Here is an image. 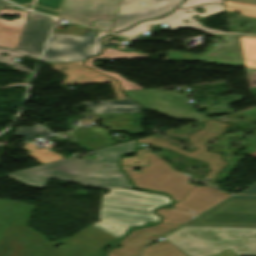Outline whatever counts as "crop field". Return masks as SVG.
Returning <instances> with one entry per match:
<instances>
[{"label": "crop field", "mask_w": 256, "mask_h": 256, "mask_svg": "<svg viewBox=\"0 0 256 256\" xmlns=\"http://www.w3.org/2000/svg\"><path fill=\"white\" fill-rule=\"evenodd\" d=\"M226 10L233 11V12H240L244 16L255 17L256 18V13L255 12H249V11H244V10H239V9H232V8H226Z\"/></svg>", "instance_id": "eef30255"}, {"label": "crop field", "mask_w": 256, "mask_h": 256, "mask_svg": "<svg viewBox=\"0 0 256 256\" xmlns=\"http://www.w3.org/2000/svg\"><path fill=\"white\" fill-rule=\"evenodd\" d=\"M125 94L148 110L158 111L175 119L191 118L197 122L210 119L207 117L208 114L233 113L234 110H229V104L239 101L243 97L238 95L220 97L216 106H207V113L200 114L186 103V94L156 89L133 90L127 91Z\"/></svg>", "instance_id": "412701ff"}, {"label": "crop field", "mask_w": 256, "mask_h": 256, "mask_svg": "<svg viewBox=\"0 0 256 256\" xmlns=\"http://www.w3.org/2000/svg\"><path fill=\"white\" fill-rule=\"evenodd\" d=\"M10 7H14V5H12L4 0H0V8H10Z\"/></svg>", "instance_id": "d3111659"}, {"label": "crop field", "mask_w": 256, "mask_h": 256, "mask_svg": "<svg viewBox=\"0 0 256 256\" xmlns=\"http://www.w3.org/2000/svg\"><path fill=\"white\" fill-rule=\"evenodd\" d=\"M61 18H65V19H69V20H73V21H77V22H80V23H83V24H86V25H89L91 26L93 23L84 19V18H81V17H77L75 15H70V14H64L62 13Z\"/></svg>", "instance_id": "4177f3b9"}, {"label": "crop field", "mask_w": 256, "mask_h": 256, "mask_svg": "<svg viewBox=\"0 0 256 256\" xmlns=\"http://www.w3.org/2000/svg\"><path fill=\"white\" fill-rule=\"evenodd\" d=\"M120 0H66L62 12L96 19L114 20Z\"/></svg>", "instance_id": "22f410ed"}, {"label": "crop field", "mask_w": 256, "mask_h": 256, "mask_svg": "<svg viewBox=\"0 0 256 256\" xmlns=\"http://www.w3.org/2000/svg\"><path fill=\"white\" fill-rule=\"evenodd\" d=\"M201 6L205 9V13H203V14L196 13L193 10L195 7L188 8L185 10L178 8L177 10H175L174 12H172L171 14H169L163 18H160L158 20L145 21V22L138 24L126 31L119 32V33L121 35L132 37L142 31L150 29V25H154V24H158V23H167L168 25L171 26L169 30H175L177 28V26H180V27H191V28H194V29H197L200 31L208 32V33L223 32V31H219V30H215V29H211V28H205L200 23L193 20L191 17L194 15L193 13H195V14L199 15L200 17L204 18L211 14H214V13H217L220 11H225V7L223 5H219V4H206V5H201ZM197 7H200V6H197ZM187 10H190L191 13H186ZM187 18H189L190 20H188ZM183 19H186L187 21H189L190 24L183 23V21H182ZM191 21H194V23H192Z\"/></svg>", "instance_id": "28ad6ade"}, {"label": "crop field", "mask_w": 256, "mask_h": 256, "mask_svg": "<svg viewBox=\"0 0 256 256\" xmlns=\"http://www.w3.org/2000/svg\"><path fill=\"white\" fill-rule=\"evenodd\" d=\"M96 35L52 34L43 61L47 63L83 61L89 56Z\"/></svg>", "instance_id": "d8731c3e"}, {"label": "crop field", "mask_w": 256, "mask_h": 256, "mask_svg": "<svg viewBox=\"0 0 256 256\" xmlns=\"http://www.w3.org/2000/svg\"><path fill=\"white\" fill-rule=\"evenodd\" d=\"M182 0H122L114 31L122 30L146 18H154L171 11ZM145 2V5H141Z\"/></svg>", "instance_id": "5a996713"}, {"label": "crop field", "mask_w": 256, "mask_h": 256, "mask_svg": "<svg viewBox=\"0 0 256 256\" xmlns=\"http://www.w3.org/2000/svg\"><path fill=\"white\" fill-rule=\"evenodd\" d=\"M232 198H240V199H256V197L253 196H234Z\"/></svg>", "instance_id": "750c4746"}, {"label": "crop field", "mask_w": 256, "mask_h": 256, "mask_svg": "<svg viewBox=\"0 0 256 256\" xmlns=\"http://www.w3.org/2000/svg\"><path fill=\"white\" fill-rule=\"evenodd\" d=\"M107 34H109V33L99 31V33H98V35H97V37L95 39L94 45L92 47L91 55H95V54L99 53V50L102 49L101 44H99V38L102 35H107Z\"/></svg>", "instance_id": "730fd06b"}, {"label": "crop field", "mask_w": 256, "mask_h": 256, "mask_svg": "<svg viewBox=\"0 0 256 256\" xmlns=\"http://www.w3.org/2000/svg\"><path fill=\"white\" fill-rule=\"evenodd\" d=\"M116 240L118 239L90 226L61 243L68 246L62 250L73 256H101V251Z\"/></svg>", "instance_id": "d1516ede"}, {"label": "crop field", "mask_w": 256, "mask_h": 256, "mask_svg": "<svg viewBox=\"0 0 256 256\" xmlns=\"http://www.w3.org/2000/svg\"><path fill=\"white\" fill-rule=\"evenodd\" d=\"M246 67L256 68V38L240 37Z\"/></svg>", "instance_id": "4a817a6b"}, {"label": "crop field", "mask_w": 256, "mask_h": 256, "mask_svg": "<svg viewBox=\"0 0 256 256\" xmlns=\"http://www.w3.org/2000/svg\"><path fill=\"white\" fill-rule=\"evenodd\" d=\"M224 2H225L226 6H231V7H236V8L256 11V5L239 3V2H233V1H227V0H224Z\"/></svg>", "instance_id": "00972430"}, {"label": "crop field", "mask_w": 256, "mask_h": 256, "mask_svg": "<svg viewBox=\"0 0 256 256\" xmlns=\"http://www.w3.org/2000/svg\"><path fill=\"white\" fill-rule=\"evenodd\" d=\"M20 15V19L8 21L2 15ZM27 12L0 9V45L15 49L27 20Z\"/></svg>", "instance_id": "5142ce71"}, {"label": "crop field", "mask_w": 256, "mask_h": 256, "mask_svg": "<svg viewBox=\"0 0 256 256\" xmlns=\"http://www.w3.org/2000/svg\"><path fill=\"white\" fill-rule=\"evenodd\" d=\"M112 36L110 37H106V38H103L102 39V43L105 45L106 44V41L108 38H111ZM145 57H148L147 55H139L137 53H134V52H131V53H125V52H120V51H116L115 49H105L102 54L100 56H95V57H92V58H88L85 62V65L88 66V67H92V63L94 61L95 58H115V59H132V58H145ZM94 68V67H93ZM96 70L106 74V75H109L115 79H118L120 81V84L123 88L124 91L126 90H132V89H142L140 87H138L137 85L131 83V82H127V81H124L123 78H121L118 74L116 73H113V72H105L103 70H100L98 68H95Z\"/></svg>", "instance_id": "d9b57169"}, {"label": "crop field", "mask_w": 256, "mask_h": 256, "mask_svg": "<svg viewBox=\"0 0 256 256\" xmlns=\"http://www.w3.org/2000/svg\"><path fill=\"white\" fill-rule=\"evenodd\" d=\"M135 141L94 150L97 159L72 157L8 174L26 184L43 187L48 177L98 185L102 188H133L118 167L120 154L134 151ZM102 164H107L105 167ZM119 176H122L121 178Z\"/></svg>", "instance_id": "8a807250"}, {"label": "crop field", "mask_w": 256, "mask_h": 256, "mask_svg": "<svg viewBox=\"0 0 256 256\" xmlns=\"http://www.w3.org/2000/svg\"><path fill=\"white\" fill-rule=\"evenodd\" d=\"M227 126L228 124H224L213 120L205 121L204 130L194 132L192 135L188 137L190 142L196 148H198L197 150L191 153L182 151L179 148L170 144V142H168L167 140L159 139L154 136H147V139H140L139 142L163 147L209 164L208 168L211 170L206 175L205 179L213 180L221 171V169L225 166L226 162L224 160H221V156L219 154L208 153L205 149L204 144L211 137L220 136L222 132L227 128ZM208 127L211 128L208 130ZM202 134H204L203 137H201ZM217 159H219V161H217Z\"/></svg>", "instance_id": "e52e79f7"}, {"label": "crop field", "mask_w": 256, "mask_h": 256, "mask_svg": "<svg viewBox=\"0 0 256 256\" xmlns=\"http://www.w3.org/2000/svg\"><path fill=\"white\" fill-rule=\"evenodd\" d=\"M82 63L83 62L58 63L51 65L55 67V70L61 71L67 76V78L62 82V84H89L111 82L119 100H124L123 95L119 90L118 84L114 79L105 77L95 71L83 67ZM62 67H66L67 70H61ZM91 71L94 73H90Z\"/></svg>", "instance_id": "cbeb9de0"}, {"label": "crop field", "mask_w": 256, "mask_h": 256, "mask_svg": "<svg viewBox=\"0 0 256 256\" xmlns=\"http://www.w3.org/2000/svg\"><path fill=\"white\" fill-rule=\"evenodd\" d=\"M223 38L216 46H209L205 52L200 54L179 53L172 51L170 58L204 60L212 63L230 64L244 66L239 39L237 35H214ZM223 41L227 43L224 44Z\"/></svg>", "instance_id": "3316defc"}, {"label": "crop field", "mask_w": 256, "mask_h": 256, "mask_svg": "<svg viewBox=\"0 0 256 256\" xmlns=\"http://www.w3.org/2000/svg\"><path fill=\"white\" fill-rule=\"evenodd\" d=\"M222 3V0H186L184 3H182L179 7L185 8L188 6L198 5L202 3Z\"/></svg>", "instance_id": "a9b5d70f"}, {"label": "crop field", "mask_w": 256, "mask_h": 256, "mask_svg": "<svg viewBox=\"0 0 256 256\" xmlns=\"http://www.w3.org/2000/svg\"><path fill=\"white\" fill-rule=\"evenodd\" d=\"M239 194H256V183L248 187L244 192H240Z\"/></svg>", "instance_id": "ae1a2a85"}, {"label": "crop field", "mask_w": 256, "mask_h": 256, "mask_svg": "<svg viewBox=\"0 0 256 256\" xmlns=\"http://www.w3.org/2000/svg\"><path fill=\"white\" fill-rule=\"evenodd\" d=\"M125 101H109L100 102L98 106H95L94 102L81 103L82 105H87L94 113H123V112H140L139 106L127 99L125 96Z\"/></svg>", "instance_id": "733c2abd"}, {"label": "crop field", "mask_w": 256, "mask_h": 256, "mask_svg": "<svg viewBox=\"0 0 256 256\" xmlns=\"http://www.w3.org/2000/svg\"><path fill=\"white\" fill-rule=\"evenodd\" d=\"M102 194L99 219L93 226L120 238L133 225H143L148 221L158 222L160 217L153 209L171 203L167 196L130 189H109ZM113 226L114 228H111ZM122 226H127L126 228Z\"/></svg>", "instance_id": "ac0d7876"}, {"label": "crop field", "mask_w": 256, "mask_h": 256, "mask_svg": "<svg viewBox=\"0 0 256 256\" xmlns=\"http://www.w3.org/2000/svg\"><path fill=\"white\" fill-rule=\"evenodd\" d=\"M88 29V27H84L78 24L71 23L67 28L63 31L53 30L52 33L59 34H73V35H83V33Z\"/></svg>", "instance_id": "dafd665d"}, {"label": "crop field", "mask_w": 256, "mask_h": 256, "mask_svg": "<svg viewBox=\"0 0 256 256\" xmlns=\"http://www.w3.org/2000/svg\"><path fill=\"white\" fill-rule=\"evenodd\" d=\"M233 1H239V2L256 4V0H233Z\"/></svg>", "instance_id": "bd1437ed"}, {"label": "crop field", "mask_w": 256, "mask_h": 256, "mask_svg": "<svg viewBox=\"0 0 256 256\" xmlns=\"http://www.w3.org/2000/svg\"><path fill=\"white\" fill-rule=\"evenodd\" d=\"M40 135L42 137L49 136V134L44 128L42 127H26V128H17L14 136H24L25 142L31 139V135Z\"/></svg>", "instance_id": "214f88e0"}, {"label": "crop field", "mask_w": 256, "mask_h": 256, "mask_svg": "<svg viewBox=\"0 0 256 256\" xmlns=\"http://www.w3.org/2000/svg\"><path fill=\"white\" fill-rule=\"evenodd\" d=\"M52 25V18L31 13L22 32L17 51L0 46V53H9L8 56L0 55V62L8 64L24 73H34L15 62L14 59L24 56L40 58Z\"/></svg>", "instance_id": "f4fd0767"}, {"label": "crop field", "mask_w": 256, "mask_h": 256, "mask_svg": "<svg viewBox=\"0 0 256 256\" xmlns=\"http://www.w3.org/2000/svg\"><path fill=\"white\" fill-rule=\"evenodd\" d=\"M140 155V161L136 160L135 157H125L123 158L122 166H147V152L138 150L137 156ZM134 162H138L140 164H134Z\"/></svg>", "instance_id": "92a150f3"}, {"label": "crop field", "mask_w": 256, "mask_h": 256, "mask_svg": "<svg viewBox=\"0 0 256 256\" xmlns=\"http://www.w3.org/2000/svg\"><path fill=\"white\" fill-rule=\"evenodd\" d=\"M186 225L256 228V200L228 199Z\"/></svg>", "instance_id": "dd49c442"}, {"label": "crop field", "mask_w": 256, "mask_h": 256, "mask_svg": "<svg viewBox=\"0 0 256 256\" xmlns=\"http://www.w3.org/2000/svg\"><path fill=\"white\" fill-rule=\"evenodd\" d=\"M25 149L29 150L31 153L29 156L33 157L34 159L38 160L39 162L45 164L51 161H55L54 157L57 156L61 159L64 157L58 156L59 154L53 152L52 150L48 148H42V149H37L36 146L30 142L26 143V145L23 146Z\"/></svg>", "instance_id": "bc2a9ffb"}, {"label": "crop field", "mask_w": 256, "mask_h": 256, "mask_svg": "<svg viewBox=\"0 0 256 256\" xmlns=\"http://www.w3.org/2000/svg\"><path fill=\"white\" fill-rule=\"evenodd\" d=\"M164 239L188 256H213L229 248L237 256H256V229L183 226Z\"/></svg>", "instance_id": "34b2d1b8"}, {"label": "crop field", "mask_w": 256, "mask_h": 256, "mask_svg": "<svg viewBox=\"0 0 256 256\" xmlns=\"http://www.w3.org/2000/svg\"><path fill=\"white\" fill-rule=\"evenodd\" d=\"M11 9H15V10H23V11H26V10H24V9H21V8H19V7H15V8H11Z\"/></svg>", "instance_id": "1d83c4d3"}]
</instances>
